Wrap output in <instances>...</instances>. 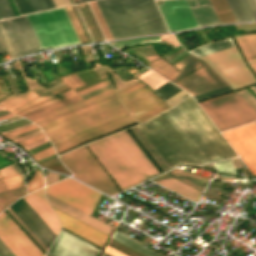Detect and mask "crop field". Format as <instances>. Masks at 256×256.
Segmentation results:
<instances>
[{
  "mask_svg": "<svg viewBox=\"0 0 256 256\" xmlns=\"http://www.w3.org/2000/svg\"><path fill=\"white\" fill-rule=\"evenodd\" d=\"M59 158L74 175L73 177L109 195L119 192L118 188L107 176L85 146Z\"/></svg>",
  "mask_w": 256,
  "mask_h": 256,
  "instance_id": "obj_6",
  "label": "crop field"
},
{
  "mask_svg": "<svg viewBox=\"0 0 256 256\" xmlns=\"http://www.w3.org/2000/svg\"><path fill=\"white\" fill-rule=\"evenodd\" d=\"M108 138L141 182L159 174L125 130Z\"/></svg>",
  "mask_w": 256,
  "mask_h": 256,
  "instance_id": "obj_12",
  "label": "crop field"
},
{
  "mask_svg": "<svg viewBox=\"0 0 256 256\" xmlns=\"http://www.w3.org/2000/svg\"><path fill=\"white\" fill-rule=\"evenodd\" d=\"M104 252H106V253H108V254H110L112 256H127V255L121 253L120 251H118V250H116V249H114V248H112V247H110L108 245H107V247H106Z\"/></svg>",
  "mask_w": 256,
  "mask_h": 256,
  "instance_id": "obj_54",
  "label": "crop field"
},
{
  "mask_svg": "<svg viewBox=\"0 0 256 256\" xmlns=\"http://www.w3.org/2000/svg\"><path fill=\"white\" fill-rule=\"evenodd\" d=\"M61 80L65 85H67L73 89L84 85V83L80 80V78L76 74L63 77V78H61ZM59 98L61 99V101L53 103V104L43 107L41 109H38L36 111L27 113L25 115H22V117H25V118L37 123L47 117L56 115V112L54 110H56L58 108H61L66 105L84 100L74 90H71L69 92L59 95Z\"/></svg>",
  "mask_w": 256,
  "mask_h": 256,
  "instance_id": "obj_18",
  "label": "crop field"
},
{
  "mask_svg": "<svg viewBox=\"0 0 256 256\" xmlns=\"http://www.w3.org/2000/svg\"><path fill=\"white\" fill-rule=\"evenodd\" d=\"M102 256H110V255H108V254H106V253H103V255Z\"/></svg>",
  "mask_w": 256,
  "mask_h": 256,
  "instance_id": "obj_65",
  "label": "crop field"
},
{
  "mask_svg": "<svg viewBox=\"0 0 256 256\" xmlns=\"http://www.w3.org/2000/svg\"><path fill=\"white\" fill-rule=\"evenodd\" d=\"M154 91L165 101L182 90L168 82Z\"/></svg>",
  "mask_w": 256,
  "mask_h": 256,
  "instance_id": "obj_35",
  "label": "crop field"
},
{
  "mask_svg": "<svg viewBox=\"0 0 256 256\" xmlns=\"http://www.w3.org/2000/svg\"><path fill=\"white\" fill-rule=\"evenodd\" d=\"M0 239L13 252L15 256H26L1 229Z\"/></svg>",
  "mask_w": 256,
  "mask_h": 256,
  "instance_id": "obj_37",
  "label": "crop field"
},
{
  "mask_svg": "<svg viewBox=\"0 0 256 256\" xmlns=\"http://www.w3.org/2000/svg\"><path fill=\"white\" fill-rule=\"evenodd\" d=\"M250 66L253 68V70H254L255 73H256V62L250 63Z\"/></svg>",
  "mask_w": 256,
  "mask_h": 256,
  "instance_id": "obj_62",
  "label": "crop field"
},
{
  "mask_svg": "<svg viewBox=\"0 0 256 256\" xmlns=\"http://www.w3.org/2000/svg\"><path fill=\"white\" fill-rule=\"evenodd\" d=\"M87 146L122 190L140 183L107 137L87 144Z\"/></svg>",
  "mask_w": 256,
  "mask_h": 256,
  "instance_id": "obj_9",
  "label": "crop field"
},
{
  "mask_svg": "<svg viewBox=\"0 0 256 256\" xmlns=\"http://www.w3.org/2000/svg\"><path fill=\"white\" fill-rule=\"evenodd\" d=\"M0 256H6V255L0 250Z\"/></svg>",
  "mask_w": 256,
  "mask_h": 256,
  "instance_id": "obj_64",
  "label": "crop field"
},
{
  "mask_svg": "<svg viewBox=\"0 0 256 256\" xmlns=\"http://www.w3.org/2000/svg\"><path fill=\"white\" fill-rule=\"evenodd\" d=\"M112 238H114V239H116V240H118V241H120V242L138 250V251H140L141 253H143L147 256H161V255L157 254L156 252L144 247L143 245L127 238L126 236H124V235H122V234H120L116 231H115Z\"/></svg>",
  "mask_w": 256,
  "mask_h": 256,
  "instance_id": "obj_32",
  "label": "crop field"
},
{
  "mask_svg": "<svg viewBox=\"0 0 256 256\" xmlns=\"http://www.w3.org/2000/svg\"><path fill=\"white\" fill-rule=\"evenodd\" d=\"M25 122H28L24 119H21V120H18V121H14V122H11V123H8V124H5V125H1L0 126V130L2 129H5V128H8V127H12V126H15V125H18V124H21V123H25ZM29 123V122H28ZM26 124V123H25ZM23 125V124H21ZM21 125H18V126H21ZM18 126H15V127H18ZM15 127H12V128H15ZM12 128H9V129H12ZM9 129H5V130H2L0 132H3V131H6V130H9Z\"/></svg>",
  "mask_w": 256,
  "mask_h": 256,
  "instance_id": "obj_49",
  "label": "crop field"
},
{
  "mask_svg": "<svg viewBox=\"0 0 256 256\" xmlns=\"http://www.w3.org/2000/svg\"><path fill=\"white\" fill-rule=\"evenodd\" d=\"M53 154H54V151H53L52 147H50V148H48L46 150H43V151H41L39 153H36V154L32 155V158L34 160L38 161L40 159H43V158H45L47 156H50V155H53Z\"/></svg>",
  "mask_w": 256,
  "mask_h": 256,
  "instance_id": "obj_45",
  "label": "crop field"
},
{
  "mask_svg": "<svg viewBox=\"0 0 256 256\" xmlns=\"http://www.w3.org/2000/svg\"><path fill=\"white\" fill-rule=\"evenodd\" d=\"M210 2L221 24L235 21L226 0H210Z\"/></svg>",
  "mask_w": 256,
  "mask_h": 256,
  "instance_id": "obj_31",
  "label": "crop field"
},
{
  "mask_svg": "<svg viewBox=\"0 0 256 256\" xmlns=\"http://www.w3.org/2000/svg\"><path fill=\"white\" fill-rule=\"evenodd\" d=\"M113 38L167 32L153 0L95 1Z\"/></svg>",
  "mask_w": 256,
  "mask_h": 256,
  "instance_id": "obj_3",
  "label": "crop field"
},
{
  "mask_svg": "<svg viewBox=\"0 0 256 256\" xmlns=\"http://www.w3.org/2000/svg\"><path fill=\"white\" fill-rule=\"evenodd\" d=\"M222 134L256 176V122Z\"/></svg>",
  "mask_w": 256,
  "mask_h": 256,
  "instance_id": "obj_13",
  "label": "crop field"
},
{
  "mask_svg": "<svg viewBox=\"0 0 256 256\" xmlns=\"http://www.w3.org/2000/svg\"><path fill=\"white\" fill-rule=\"evenodd\" d=\"M35 128H38V127H37L36 125L32 124V125H30V126H28V127H25V128H22V129L13 131V132H9V133L3 134V136H5L6 138H8V137H11V136L20 134V133H24V132L33 130V129H35Z\"/></svg>",
  "mask_w": 256,
  "mask_h": 256,
  "instance_id": "obj_46",
  "label": "crop field"
},
{
  "mask_svg": "<svg viewBox=\"0 0 256 256\" xmlns=\"http://www.w3.org/2000/svg\"><path fill=\"white\" fill-rule=\"evenodd\" d=\"M118 95L139 123L169 108L141 82L118 92Z\"/></svg>",
  "mask_w": 256,
  "mask_h": 256,
  "instance_id": "obj_10",
  "label": "crop field"
},
{
  "mask_svg": "<svg viewBox=\"0 0 256 256\" xmlns=\"http://www.w3.org/2000/svg\"><path fill=\"white\" fill-rule=\"evenodd\" d=\"M41 187H43L42 174L39 170H36L27 186L28 193H31Z\"/></svg>",
  "mask_w": 256,
  "mask_h": 256,
  "instance_id": "obj_38",
  "label": "crop field"
},
{
  "mask_svg": "<svg viewBox=\"0 0 256 256\" xmlns=\"http://www.w3.org/2000/svg\"><path fill=\"white\" fill-rule=\"evenodd\" d=\"M81 43L88 42L71 6L64 8Z\"/></svg>",
  "mask_w": 256,
  "mask_h": 256,
  "instance_id": "obj_33",
  "label": "crop field"
},
{
  "mask_svg": "<svg viewBox=\"0 0 256 256\" xmlns=\"http://www.w3.org/2000/svg\"><path fill=\"white\" fill-rule=\"evenodd\" d=\"M167 174H169L181 181H184L202 191L204 190V188L208 182V179H205L203 177L193 175L190 173H186V172H183L180 170H176V169H173V170L167 172Z\"/></svg>",
  "mask_w": 256,
  "mask_h": 256,
  "instance_id": "obj_27",
  "label": "crop field"
},
{
  "mask_svg": "<svg viewBox=\"0 0 256 256\" xmlns=\"http://www.w3.org/2000/svg\"><path fill=\"white\" fill-rule=\"evenodd\" d=\"M216 171L235 175V169L230 160L221 161L213 164Z\"/></svg>",
  "mask_w": 256,
  "mask_h": 256,
  "instance_id": "obj_40",
  "label": "crop field"
},
{
  "mask_svg": "<svg viewBox=\"0 0 256 256\" xmlns=\"http://www.w3.org/2000/svg\"><path fill=\"white\" fill-rule=\"evenodd\" d=\"M193 201H197L199 195L201 192L165 175V174H162L160 176H157L153 179H151ZM202 194V193H201Z\"/></svg>",
  "mask_w": 256,
  "mask_h": 256,
  "instance_id": "obj_24",
  "label": "crop field"
},
{
  "mask_svg": "<svg viewBox=\"0 0 256 256\" xmlns=\"http://www.w3.org/2000/svg\"><path fill=\"white\" fill-rule=\"evenodd\" d=\"M2 180H3L4 185H5L6 188L24 185L22 176L12 177V178H5V179H2Z\"/></svg>",
  "mask_w": 256,
  "mask_h": 256,
  "instance_id": "obj_43",
  "label": "crop field"
},
{
  "mask_svg": "<svg viewBox=\"0 0 256 256\" xmlns=\"http://www.w3.org/2000/svg\"><path fill=\"white\" fill-rule=\"evenodd\" d=\"M47 2H48V4H49V6H50L51 9H52V8H55V5H54V3H53V0H47Z\"/></svg>",
  "mask_w": 256,
  "mask_h": 256,
  "instance_id": "obj_60",
  "label": "crop field"
},
{
  "mask_svg": "<svg viewBox=\"0 0 256 256\" xmlns=\"http://www.w3.org/2000/svg\"><path fill=\"white\" fill-rule=\"evenodd\" d=\"M0 228L27 256H44L4 212L0 214Z\"/></svg>",
  "mask_w": 256,
  "mask_h": 256,
  "instance_id": "obj_20",
  "label": "crop field"
},
{
  "mask_svg": "<svg viewBox=\"0 0 256 256\" xmlns=\"http://www.w3.org/2000/svg\"><path fill=\"white\" fill-rule=\"evenodd\" d=\"M0 18L3 19L2 16H1V14H0Z\"/></svg>",
  "mask_w": 256,
  "mask_h": 256,
  "instance_id": "obj_66",
  "label": "crop field"
},
{
  "mask_svg": "<svg viewBox=\"0 0 256 256\" xmlns=\"http://www.w3.org/2000/svg\"><path fill=\"white\" fill-rule=\"evenodd\" d=\"M185 53V50L182 51L180 54H178L177 56L173 57L172 59L168 60L170 63L173 62L174 60H176L178 57H180L182 54Z\"/></svg>",
  "mask_w": 256,
  "mask_h": 256,
  "instance_id": "obj_58",
  "label": "crop field"
},
{
  "mask_svg": "<svg viewBox=\"0 0 256 256\" xmlns=\"http://www.w3.org/2000/svg\"><path fill=\"white\" fill-rule=\"evenodd\" d=\"M28 205L39 215V217L51 228L57 235L60 225L53 210L48 205L43 189L23 197Z\"/></svg>",
  "mask_w": 256,
  "mask_h": 256,
  "instance_id": "obj_21",
  "label": "crop field"
},
{
  "mask_svg": "<svg viewBox=\"0 0 256 256\" xmlns=\"http://www.w3.org/2000/svg\"><path fill=\"white\" fill-rule=\"evenodd\" d=\"M45 192L90 215L102 195L71 178L45 188Z\"/></svg>",
  "mask_w": 256,
  "mask_h": 256,
  "instance_id": "obj_11",
  "label": "crop field"
},
{
  "mask_svg": "<svg viewBox=\"0 0 256 256\" xmlns=\"http://www.w3.org/2000/svg\"><path fill=\"white\" fill-rule=\"evenodd\" d=\"M26 17L43 50L79 43L62 8Z\"/></svg>",
  "mask_w": 256,
  "mask_h": 256,
  "instance_id": "obj_4",
  "label": "crop field"
},
{
  "mask_svg": "<svg viewBox=\"0 0 256 256\" xmlns=\"http://www.w3.org/2000/svg\"><path fill=\"white\" fill-rule=\"evenodd\" d=\"M192 56L189 54L179 63L174 65V67L177 68L179 71H177L170 63H168L165 59L159 57L157 54L146 56L145 58L152 62L151 64H149L152 70L156 71L157 73L174 83L186 76L187 74L191 73L193 70H195L197 67L204 63L203 61L198 60L199 58L196 59L197 57L194 58L195 56Z\"/></svg>",
  "mask_w": 256,
  "mask_h": 256,
  "instance_id": "obj_16",
  "label": "crop field"
},
{
  "mask_svg": "<svg viewBox=\"0 0 256 256\" xmlns=\"http://www.w3.org/2000/svg\"><path fill=\"white\" fill-rule=\"evenodd\" d=\"M57 100H59V99H58L57 97H55V98H53V99H51V100H48V101H46V102H43V103H41V104H39V105H36V106H34V107H31V108H29V109L23 110V111L18 112V113H16V114L21 115V114L26 113V112H28V111H31V110H33V109H36V108H39V107H41V106L47 105V104H49V103L55 102V101H57Z\"/></svg>",
  "mask_w": 256,
  "mask_h": 256,
  "instance_id": "obj_52",
  "label": "crop field"
},
{
  "mask_svg": "<svg viewBox=\"0 0 256 256\" xmlns=\"http://www.w3.org/2000/svg\"><path fill=\"white\" fill-rule=\"evenodd\" d=\"M0 248L7 256H14L11 251L0 241Z\"/></svg>",
  "mask_w": 256,
  "mask_h": 256,
  "instance_id": "obj_57",
  "label": "crop field"
},
{
  "mask_svg": "<svg viewBox=\"0 0 256 256\" xmlns=\"http://www.w3.org/2000/svg\"><path fill=\"white\" fill-rule=\"evenodd\" d=\"M100 250L60 231L47 256H98Z\"/></svg>",
  "mask_w": 256,
  "mask_h": 256,
  "instance_id": "obj_17",
  "label": "crop field"
},
{
  "mask_svg": "<svg viewBox=\"0 0 256 256\" xmlns=\"http://www.w3.org/2000/svg\"><path fill=\"white\" fill-rule=\"evenodd\" d=\"M46 197H47V200L49 201L51 206H53V207L65 212V213L79 219L80 221H82V222H84V223H86V224H88V225H90V226L108 234V235H109L110 231L113 228V227H111V226H109V225H107V224H105V223H103V222H101V221H99V220H97V219H95V218H93V217H91V216H89V215H87V214H85V213H83V212H81V211H79V210H77V209H75V208H73V207H71V206L53 198V197H51V196H49V195H47V194H46Z\"/></svg>",
  "mask_w": 256,
  "mask_h": 256,
  "instance_id": "obj_22",
  "label": "crop field"
},
{
  "mask_svg": "<svg viewBox=\"0 0 256 256\" xmlns=\"http://www.w3.org/2000/svg\"><path fill=\"white\" fill-rule=\"evenodd\" d=\"M42 50L26 17L0 21V53L11 59Z\"/></svg>",
  "mask_w": 256,
  "mask_h": 256,
  "instance_id": "obj_7",
  "label": "crop field"
},
{
  "mask_svg": "<svg viewBox=\"0 0 256 256\" xmlns=\"http://www.w3.org/2000/svg\"><path fill=\"white\" fill-rule=\"evenodd\" d=\"M136 123L116 94L37 123L61 153L85 141Z\"/></svg>",
  "mask_w": 256,
  "mask_h": 256,
  "instance_id": "obj_2",
  "label": "crop field"
},
{
  "mask_svg": "<svg viewBox=\"0 0 256 256\" xmlns=\"http://www.w3.org/2000/svg\"><path fill=\"white\" fill-rule=\"evenodd\" d=\"M112 93H114V90H113V89H111V90H109V91H107V92H105V93H102V94H100V95H98V96H96V97H93V98H91V99H89V100L86 99L87 101L78 102V103H75V104H73V105H70V106H67V107L58 109V110H56V112L59 114V113H62V112H65V111L74 109V108H76V107H79V106H81V105H84V104H86V103H89V102H91V101H94V100H96V99L102 98V97L107 96V95L112 94Z\"/></svg>",
  "mask_w": 256,
  "mask_h": 256,
  "instance_id": "obj_39",
  "label": "crop field"
},
{
  "mask_svg": "<svg viewBox=\"0 0 256 256\" xmlns=\"http://www.w3.org/2000/svg\"><path fill=\"white\" fill-rule=\"evenodd\" d=\"M24 195H26L24 186L5 189L0 181V212Z\"/></svg>",
  "mask_w": 256,
  "mask_h": 256,
  "instance_id": "obj_25",
  "label": "crop field"
},
{
  "mask_svg": "<svg viewBox=\"0 0 256 256\" xmlns=\"http://www.w3.org/2000/svg\"><path fill=\"white\" fill-rule=\"evenodd\" d=\"M58 181V175L47 172L46 186Z\"/></svg>",
  "mask_w": 256,
  "mask_h": 256,
  "instance_id": "obj_55",
  "label": "crop field"
},
{
  "mask_svg": "<svg viewBox=\"0 0 256 256\" xmlns=\"http://www.w3.org/2000/svg\"><path fill=\"white\" fill-rule=\"evenodd\" d=\"M159 8L171 32L198 26L186 0L163 1Z\"/></svg>",
  "mask_w": 256,
  "mask_h": 256,
  "instance_id": "obj_14",
  "label": "crop field"
},
{
  "mask_svg": "<svg viewBox=\"0 0 256 256\" xmlns=\"http://www.w3.org/2000/svg\"><path fill=\"white\" fill-rule=\"evenodd\" d=\"M238 93L256 109V99L250 93L246 90L239 91Z\"/></svg>",
  "mask_w": 256,
  "mask_h": 256,
  "instance_id": "obj_47",
  "label": "crop field"
},
{
  "mask_svg": "<svg viewBox=\"0 0 256 256\" xmlns=\"http://www.w3.org/2000/svg\"><path fill=\"white\" fill-rule=\"evenodd\" d=\"M229 91H232V89L229 86H227V87L220 88V89H217V90H214L211 92H207V93H204L201 95L194 96V99L196 100V102H198V101H201V100L213 97V96H217V95L229 92Z\"/></svg>",
  "mask_w": 256,
  "mask_h": 256,
  "instance_id": "obj_41",
  "label": "crop field"
},
{
  "mask_svg": "<svg viewBox=\"0 0 256 256\" xmlns=\"http://www.w3.org/2000/svg\"><path fill=\"white\" fill-rule=\"evenodd\" d=\"M159 39H160V36L147 37V38H136V39H126V40L112 42V44L114 46H116L117 48L121 49L126 46H131V45L140 44V43L158 42Z\"/></svg>",
  "mask_w": 256,
  "mask_h": 256,
  "instance_id": "obj_34",
  "label": "crop field"
},
{
  "mask_svg": "<svg viewBox=\"0 0 256 256\" xmlns=\"http://www.w3.org/2000/svg\"><path fill=\"white\" fill-rule=\"evenodd\" d=\"M199 105L219 131L256 120V111L235 92Z\"/></svg>",
  "mask_w": 256,
  "mask_h": 256,
  "instance_id": "obj_5",
  "label": "crop field"
},
{
  "mask_svg": "<svg viewBox=\"0 0 256 256\" xmlns=\"http://www.w3.org/2000/svg\"><path fill=\"white\" fill-rule=\"evenodd\" d=\"M32 1H33L34 5H35L37 11L40 12L41 10H40V8H39V6H38L36 0H32Z\"/></svg>",
  "mask_w": 256,
  "mask_h": 256,
  "instance_id": "obj_61",
  "label": "crop field"
},
{
  "mask_svg": "<svg viewBox=\"0 0 256 256\" xmlns=\"http://www.w3.org/2000/svg\"><path fill=\"white\" fill-rule=\"evenodd\" d=\"M137 127L169 169L236 156L189 96Z\"/></svg>",
  "mask_w": 256,
  "mask_h": 256,
  "instance_id": "obj_1",
  "label": "crop field"
},
{
  "mask_svg": "<svg viewBox=\"0 0 256 256\" xmlns=\"http://www.w3.org/2000/svg\"><path fill=\"white\" fill-rule=\"evenodd\" d=\"M13 116H15V115L9 114V115H5V116H1L0 120L7 119V118H10V117H13Z\"/></svg>",
  "mask_w": 256,
  "mask_h": 256,
  "instance_id": "obj_59",
  "label": "crop field"
},
{
  "mask_svg": "<svg viewBox=\"0 0 256 256\" xmlns=\"http://www.w3.org/2000/svg\"><path fill=\"white\" fill-rule=\"evenodd\" d=\"M0 12L4 19L14 16L8 5L7 0H0Z\"/></svg>",
  "mask_w": 256,
  "mask_h": 256,
  "instance_id": "obj_44",
  "label": "crop field"
},
{
  "mask_svg": "<svg viewBox=\"0 0 256 256\" xmlns=\"http://www.w3.org/2000/svg\"><path fill=\"white\" fill-rule=\"evenodd\" d=\"M174 84L190 92L192 96L227 86L206 63L191 75Z\"/></svg>",
  "mask_w": 256,
  "mask_h": 256,
  "instance_id": "obj_15",
  "label": "crop field"
},
{
  "mask_svg": "<svg viewBox=\"0 0 256 256\" xmlns=\"http://www.w3.org/2000/svg\"><path fill=\"white\" fill-rule=\"evenodd\" d=\"M53 210L59 218L63 228L103 247L108 236L90 228L89 226L71 218L70 216L54 208Z\"/></svg>",
  "mask_w": 256,
  "mask_h": 256,
  "instance_id": "obj_19",
  "label": "crop field"
},
{
  "mask_svg": "<svg viewBox=\"0 0 256 256\" xmlns=\"http://www.w3.org/2000/svg\"><path fill=\"white\" fill-rule=\"evenodd\" d=\"M247 62L256 60V34L234 36Z\"/></svg>",
  "mask_w": 256,
  "mask_h": 256,
  "instance_id": "obj_26",
  "label": "crop field"
},
{
  "mask_svg": "<svg viewBox=\"0 0 256 256\" xmlns=\"http://www.w3.org/2000/svg\"><path fill=\"white\" fill-rule=\"evenodd\" d=\"M106 85H109L108 80H106V81H104V82H102V83H99V84H97V85H94V86H92V87H90V88H87V89H84V90H82V91H79L78 93H79L80 95L87 94V93H89V92H91V91H93V90H95V89H98V88L103 87V86H106Z\"/></svg>",
  "mask_w": 256,
  "mask_h": 256,
  "instance_id": "obj_48",
  "label": "crop field"
},
{
  "mask_svg": "<svg viewBox=\"0 0 256 256\" xmlns=\"http://www.w3.org/2000/svg\"><path fill=\"white\" fill-rule=\"evenodd\" d=\"M20 15L37 12L31 0H13Z\"/></svg>",
  "mask_w": 256,
  "mask_h": 256,
  "instance_id": "obj_36",
  "label": "crop field"
},
{
  "mask_svg": "<svg viewBox=\"0 0 256 256\" xmlns=\"http://www.w3.org/2000/svg\"><path fill=\"white\" fill-rule=\"evenodd\" d=\"M200 58L206 60L235 90L256 83L236 47Z\"/></svg>",
  "mask_w": 256,
  "mask_h": 256,
  "instance_id": "obj_8",
  "label": "crop field"
},
{
  "mask_svg": "<svg viewBox=\"0 0 256 256\" xmlns=\"http://www.w3.org/2000/svg\"><path fill=\"white\" fill-rule=\"evenodd\" d=\"M43 137H45V136H44L43 133H41V134H38V135H36V136H33V137H31V138H29V139H27V140H25V141L19 142V144H20L22 147H24V146H26V145H28V144H30V143H33V142H35V141H37V140H39V139H41V138H43Z\"/></svg>",
  "mask_w": 256,
  "mask_h": 256,
  "instance_id": "obj_50",
  "label": "crop field"
},
{
  "mask_svg": "<svg viewBox=\"0 0 256 256\" xmlns=\"http://www.w3.org/2000/svg\"><path fill=\"white\" fill-rule=\"evenodd\" d=\"M42 11L50 9L46 0H37Z\"/></svg>",
  "mask_w": 256,
  "mask_h": 256,
  "instance_id": "obj_56",
  "label": "crop field"
},
{
  "mask_svg": "<svg viewBox=\"0 0 256 256\" xmlns=\"http://www.w3.org/2000/svg\"><path fill=\"white\" fill-rule=\"evenodd\" d=\"M111 88H112L111 85L106 86V87H103V88H100V89H98V90H96V91H94V92H91V93H89V94L83 96V98H84L85 100H86V99H89V98H91V97H93V96H95V95H97V94H99V93H101V92H104V91H106V90H109V89H111Z\"/></svg>",
  "mask_w": 256,
  "mask_h": 256,
  "instance_id": "obj_53",
  "label": "crop field"
},
{
  "mask_svg": "<svg viewBox=\"0 0 256 256\" xmlns=\"http://www.w3.org/2000/svg\"><path fill=\"white\" fill-rule=\"evenodd\" d=\"M188 94H186L185 92H180L177 95H175L174 97L170 98L169 100L165 101L169 106L174 104L175 102H177L178 100L186 97ZM171 107V106H170Z\"/></svg>",
  "mask_w": 256,
  "mask_h": 256,
  "instance_id": "obj_51",
  "label": "crop field"
},
{
  "mask_svg": "<svg viewBox=\"0 0 256 256\" xmlns=\"http://www.w3.org/2000/svg\"><path fill=\"white\" fill-rule=\"evenodd\" d=\"M7 111V110H6ZM6 111H4V112H0V116L1 115H5V114H9L8 112H6Z\"/></svg>",
  "mask_w": 256,
  "mask_h": 256,
  "instance_id": "obj_63",
  "label": "crop field"
},
{
  "mask_svg": "<svg viewBox=\"0 0 256 256\" xmlns=\"http://www.w3.org/2000/svg\"><path fill=\"white\" fill-rule=\"evenodd\" d=\"M52 97H54V94L52 93L45 96H37L33 91H31L18 97L5 99L1 101L0 104L8 110L16 113Z\"/></svg>",
  "mask_w": 256,
  "mask_h": 256,
  "instance_id": "obj_23",
  "label": "crop field"
},
{
  "mask_svg": "<svg viewBox=\"0 0 256 256\" xmlns=\"http://www.w3.org/2000/svg\"><path fill=\"white\" fill-rule=\"evenodd\" d=\"M234 43L232 41V39H228V40H224V41H220V42H216V43H212V44H205L199 48L190 50L188 52L200 57V56H204L210 53H214L220 50H224L230 47H234Z\"/></svg>",
  "mask_w": 256,
  "mask_h": 256,
  "instance_id": "obj_29",
  "label": "crop field"
},
{
  "mask_svg": "<svg viewBox=\"0 0 256 256\" xmlns=\"http://www.w3.org/2000/svg\"><path fill=\"white\" fill-rule=\"evenodd\" d=\"M237 22L254 20L245 0H227Z\"/></svg>",
  "mask_w": 256,
  "mask_h": 256,
  "instance_id": "obj_30",
  "label": "crop field"
},
{
  "mask_svg": "<svg viewBox=\"0 0 256 256\" xmlns=\"http://www.w3.org/2000/svg\"><path fill=\"white\" fill-rule=\"evenodd\" d=\"M22 175L16 164L0 169V178Z\"/></svg>",
  "mask_w": 256,
  "mask_h": 256,
  "instance_id": "obj_42",
  "label": "crop field"
},
{
  "mask_svg": "<svg viewBox=\"0 0 256 256\" xmlns=\"http://www.w3.org/2000/svg\"><path fill=\"white\" fill-rule=\"evenodd\" d=\"M94 42L103 40L86 3L77 5Z\"/></svg>",
  "mask_w": 256,
  "mask_h": 256,
  "instance_id": "obj_28",
  "label": "crop field"
}]
</instances>
